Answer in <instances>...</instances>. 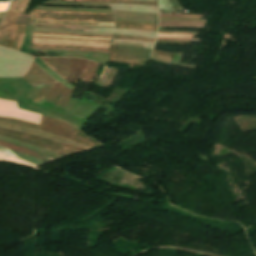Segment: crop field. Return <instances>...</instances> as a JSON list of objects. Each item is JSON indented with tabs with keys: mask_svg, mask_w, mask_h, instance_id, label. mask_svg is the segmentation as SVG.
I'll return each mask as SVG.
<instances>
[{
	"mask_svg": "<svg viewBox=\"0 0 256 256\" xmlns=\"http://www.w3.org/2000/svg\"><path fill=\"white\" fill-rule=\"evenodd\" d=\"M32 48H43V47H32ZM46 49H61V50H75V51H89V52L109 53V51H99V50H81V49H64V48H46Z\"/></svg>",
	"mask_w": 256,
	"mask_h": 256,
	"instance_id": "obj_10",
	"label": "crop field"
},
{
	"mask_svg": "<svg viewBox=\"0 0 256 256\" xmlns=\"http://www.w3.org/2000/svg\"><path fill=\"white\" fill-rule=\"evenodd\" d=\"M10 2H0V11H6Z\"/></svg>",
	"mask_w": 256,
	"mask_h": 256,
	"instance_id": "obj_11",
	"label": "crop field"
},
{
	"mask_svg": "<svg viewBox=\"0 0 256 256\" xmlns=\"http://www.w3.org/2000/svg\"><path fill=\"white\" fill-rule=\"evenodd\" d=\"M34 15L19 14L17 23L33 25Z\"/></svg>",
	"mask_w": 256,
	"mask_h": 256,
	"instance_id": "obj_7",
	"label": "crop field"
},
{
	"mask_svg": "<svg viewBox=\"0 0 256 256\" xmlns=\"http://www.w3.org/2000/svg\"><path fill=\"white\" fill-rule=\"evenodd\" d=\"M0 127H4V128H8V129H13V130H18V131H23V132H27V133H31V134H35L41 137H45V138H49V139H53V140H57V141H61L64 143H67L69 145L84 149V150H88V149H92L89 146L80 144V143H76L73 141H70L68 139L62 138L60 136L57 135H53L47 132H43V131H39V130H35L29 127H25V126H20V125H16V124H12V123H6V122H1L0 121Z\"/></svg>",
	"mask_w": 256,
	"mask_h": 256,
	"instance_id": "obj_3",
	"label": "crop field"
},
{
	"mask_svg": "<svg viewBox=\"0 0 256 256\" xmlns=\"http://www.w3.org/2000/svg\"><path fill=\"white\" fill-rule=\"evenodd\" d=\"M0 160H9V161L23 163V164H27V165H31V166L36 167L33 164H30V163H28L26 161H23L21 159H18V158L14 157V156H11V155H8V154L2 153V152H0Z\"/></svg>",
	"mask_w": 256,
	"mask_h": 256,
	"instance_id": "obj_6",
	"label": "crop field"
},
{
	"mask_svg": "<svg viewBox=\"0 0 256 256\" xmlns=\"http://www.w3.org/2000/svg\"><path fill=\"white\" fill-rule=\"evenodd\" d=\"M203 15H188V14H174V15H168V14H160V17H196L200 18Z\"/></svg>",
	"mask_w": 256,
	"mask_h": 256,
	"instance_id": "obj_8",
	"label": "crop field"
},
{
	"mask_svg": "<svg viewBox=\"0 0 256 256\" xmlns=\"http://www.w3.org/2000/svg\"><path fill=\"white\" fill-rule=\"evenodd\" d=\"M0 145L3 146V147H6L8 149L17 151V152H21V153H24V154H27V155L39 158V159H41V160H43L45 162H48L50 160H54V159H52L50 157H47V156H44V155H41V154H38V153H35V152H32V151H29V150H25V149H22V148H19V147H16V146H13V145H10V144H7V143L0 142Z\"/></svg>",
	"mask_w": 256,
	"mask_h": 256,
	"instance_id": "obj_5",
	"label": "crop field"
},
{
	"mask_svg": "<svg viewBox=\"0 0 256 256\" xmlns=\"http://www.w3.org/2000/svg\"><path fill=\"white\" fill-rule=\"evenodd\" d=\"M157 40H186V41L200 42V39H190V38H166V37H158Z\"/></svg>",
	"mask_w": 256,
	"mask_h": 256,
	"instance_id": "obj_9",
	"label": "crop field"
},
{
	"mask_svg": "<svg viewBox=\"0 0 256 256\" xmlns=\"http://www.w3.org/2000/svg\"><path fill=\"white\" fill-rule=\"evenodd\" d=\"M159 27H199L204 28L205 22L196 21H159Z\"/></svg>",
	"mask_w": 256,
	"mask_h": 256,
	"instance_id": "obj_4",
	"label": "crop field"
},
{
	"mask_svg": "<svg viewBox=\"0 0 256 256\" xmlns=\"http://www.w3.org/2000/svg\"><path fill=\"white\" fill-rule=\"evenodd\" d=\"M0 116L18 118L38 124L41 117L40 114L18 109L16 102L2 99H0Z\"/></svg>",
	"mask_w": 256,
	"mask_h": 256,
	"instance_id": "obj_2",
	"label": "crop field"
},
{
	"mask_svg": "<svg viewBox=\"0 0 256 256\" xmlns=\"http://www.w3.org/2000/svg\"><path fill=\"white\" fill-rule=\"evenodd\" d=\"M40 58L69 82L81 60L77 58Z\"/></svg>",
	"mask_w": 256,
	"mask_h": 256,
	"instance_id": "obj_1",
	"label": "crop field"
}]
</instances>
